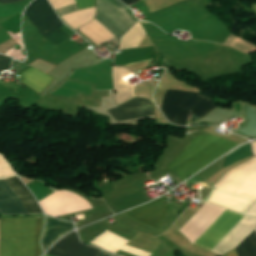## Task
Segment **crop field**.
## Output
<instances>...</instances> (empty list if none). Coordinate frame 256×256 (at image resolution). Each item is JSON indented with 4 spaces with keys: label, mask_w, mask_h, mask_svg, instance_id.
<instances>
[{
    "label": "crop field",
    "mask_w": 256,
    "mask_h": 256,
    "mask_svg": "<svg viewBox=\"0 0 256 256\" xmlns=\"http://www.w3.org/2000/svg\"><path fill=\"white\" fill-rule=\"evenodd\" d=\"M44 216L1 218L0 256H40Z\"/></svg>",
    "instance_id": "obj_1"
},
{
    "label": "crop field",
    "mask_w": 256,
    "mask_h": 256,
    "mask_svg": "<svg viewBox=\"0 0 256 256\" xmlns=\"http://www.w3.org/2000/svg\"><path fill=\"white\" fill-rule=\"evenodd\" d=\"M222 210L221 207L205 203L181 231L193 243ZM242 216L224 209L194 244L211 251Z\"/></svg>",
    "instance_id": "obj_2"
},
{
    "label": "crop field",
    "mask_w": 256,
    "mask_h": 256,
    "mask_svg": "<svg viewBox=\"0 0 256 256\" xmlns=\"http://www.w3.org/2000/svg\"><path fill=\"white\" fill-rule=\"evenodd\" d=\"M236 145L213 135L196 136L167 168L174 171L182 182Z\"/></svg>",
    "instance_id": "obj_3"
},
{
    "label": "crop field",
    "mask_w": 256,
    "mask_h": 256,
    "mask_svg": "<svg viewBox=\"0 0 256 256\" xmlns=\"http://www.w3.org/2000/svg\"><path fill=\"white\" fill-rule=\"evenodd\" d=\"M197 96L198 93L194 92L167 90L161 110L169 121L179 125H185L187 116ZM216 107L218 106L208 97L199 94L191 113L202 117Z\"/></svg>",
    "instance_id": "obj_4"
},
{
    "label": "crop field",
    "mask_w": 256,
    "mask_h": 256,
    "mask_svg": "<svg viewBox=\"0 0 256 256\" xmlns=\"http://www.w3.org/2000/svg\"><path fill=\"white\" fill-rule=\"evenodd\" d=\"M6 181L20 197L29 214L42 213L35 197L17 176L7 178ZM6 181L0 179V212L2 215L28 214L21 200L11 190Z\"/></svg>",
    "instance_id": "obj_5"
},
{
    "label": "crop field",
    "mask_w": 256,
    "mask_h": 256,
    "mask_svg": "<svg viewBox=\"0 0 256 256\" xmlns=\"http://www.w3.org/2000/svg\"><path fill=\"white\" fill-rule=\"evenodd\" d=\"M97 16L109 31L120 39L136 21L125 11L127 7L118 0H96Z\"/></svg>",
    "instance_id": "obj_6"
},
{
    "label": "crop field",
    "mask_w": 256,
    "mask_h": 256,
    "mask_svg": "<svg viewBox=\"0 0 256 256\" xmlns=\"http://www.w3.org/2000/svg\"><path fill=\"white\" fill-rule=\"evenodd\" d=\"M24 13L40 29L37 32L45 37L64 25L47 0H35Z\"/></svg>",
    "instance_id": "obj_7"
},
{
    "label": "crop field",
    "mask_w": 256,
    "mask_h": 256,
    "mask_svg": "<svg viewBox=\"0 0 256 256\" xmlns=\"http://www.w3.org/2000/svg\"><path fill=\"white\" fill-rule=\"evenodd\" d=\"M166 209V198L163 196L154 202L133 209L125 214L148 226L159 229L163 223Z\"/></svg>",
    "instance_id": "obj_8"
},
{
    "label": "crop field",
    "mask_w": 256,
    "mask_h": 256,
    "mask_svg": "<svg viewBox=\"0 0 256 256\" xmlns=\"http://www.w3.org/2000/svg\"><path fill=\"white\" fill-rule=\"evenodd\" d=\"M99 251V249L81 244L77 233L73 232L54 245L47 254L54 256H97Z\"/></svg>",
    "instance_id": "obj_9"
},
{
    "label": "crop field",
    "mask_w": 256,
    "mask_h": 256,
    "mask_svg": "<svg viewBox=\"0 0 256 256\" xmlns=\"http://www.w3.org/2000/svg\"><path fill=\"white\" fill-rule=\"evenodd\" d=\"M109 113L117 121H122L153 115L154 110L152 102L142 98H135L113 110H109Z\"/></svg>",
    "instance_id": "obj_10"
},
{
    "label": "crop field",
    "mask_w": 256,
    "mask_h": 256,
    "mask_svg": "<svg viewBox=\"0 0 256 256\" xmlns=\"http://www.w3.org/2000/svg\"><path fill=\"white\" fill-rule=\"evenodd\" d=\"M73 223L60 221L54 217L46 215V230L42 238L44 251L61 235L73 229Z\"/></svg>",
    "instance_id": "obj_11"
},
{
    "label": "crop field",
    "mask_w": 256,
    "mask_h": 256,
    "mask_svg": "<svg viewBox=\"0 0 256 256\" xmlns=\"http://www.w3.org/2000/svg\"><path fill=\"white\" fill-rule=\"evenodd\" d=\"M21 74L24 77V80L21 82L32 87L39 94H41L53 80V77L41 72L34 67L26 70Z\"/></svg>",
    "instance_id": "obj_12"
},
{
    "label": "crop field",
    "mask_w": 256,
    "mask_h": 256,
    "mask_svg": "<svg viewBox=\"0 0 256 256\" xmlns=\"http://www.w3.org/2000/svg\"><path fill=\"white\" fill-rule=\"evenodd\" d=\"M236 250L239 256H256V231L254 230Z\"/></svg>",
    "instance_id": "obj_13"
},
{
    "label": "crop field",
    "mask_w": 256,
    "mask_h": 256,
    "mask_svg": "<svg viewBox=\"0 0 256 256\" xmlns=\"http://www.w3.org/2000/svg\"><path fill=\"white\" fill-rule=\"evenodd\" d=\"M68 37L69 36L59 28L46 38H48L50 41H52L55 44H59Z\"/></svg>",
    "instance_id": "obj_14"
},
{
    "label": "crop field",
    "mask_w": 256,
    "mask_h": 256,
    "mask_svg": "<svg viewBox=\"0 0 256 256\" xmlns=\"http://www.w3.org/2000/svg\"><path fill=\"white\" fill-rule=\"evenodd\" d=\"M11 61V58L0 55V72L9 69Z\"/></svg>",
    "instance_id": "obj_15"
},
{
    "label": "crop field",
    "mask_w": 256,
    "mask_h": 256,
    "mask_svg": "<svg viewBox=\"0 0 256 256\" xmlns=\"http://www.w3.org/2000/svg\"><path fill=\"white\" fill-rule=\"evenodd\" d=\"M76 3L80 10L95 6L94 0H76Z\"/></svg>",
    "instance_id": "obj_16"
},
{
    "label": "crop field",
    "mask_w": 256,
    "mask_h": 256,
    "mask_svg": "<svg viewBox=\"0 0 256 256\" xmlns=\"http://www.w3.org/2000/svg\"><path fill=\"white\" fill-rule=\"evenodd\" d=\"M120 1H122L125 5H127L129 7L139 0H120Z\"/></svg>",
    "instance_id": "obj_17"
},
{
    "label": "crop field",
    "mask_w": 256,
    "mask_h": 256,
    "mask_svg": "<svg viewBox=\"0 0 256 256\" xmlns=\"http://www.w3.org/2000/svg\"><path fill=\"white\" fill-rule=\"evenodd\" d=\"M222 256H238V255H237L236 250L234 249V250H232V251H230V252H228V253H226Z\"/></svg>",
    "instance_id": "obj_18"
},
{
    "label": "crop field",
    "mask_w": 256,
    "mask_h": 256,
    "mask_svg": "<svg viewBox=\"0 0 256 256\" xmlns=\"http://www.w3.org/2000/svg\"><path fill=\"white\" fill-rule=\"evenodd\" d=\"M45 256H48V255H45ZM98 256H114V255H111V254L101 250Z\"/></svg>",
    "instance_id": "obj_19"
},
{
    "label": "crop field",
    "mask_w": 256,
    "mask_h": 256,
    "mask_svg": "<svg viewBox=\"0 0 256 256\" xmlns=\"http://www.w3.org/2000/svg\"><path fill=\"white\" fill-rule=\"evenodd\" d=\"M16 1H20V0H0V2H1L2 4L12 3V2H16Z\"/></svg>",
    "instance_id": "obj_20"
}]
</instances>
